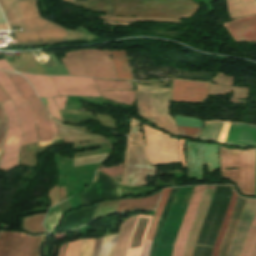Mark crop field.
Returning <instances> with one entry per match:
<instances>
[{"mask_svg":"<svg viewBox=\"0 0 256 256\" xmlns=\"http://www.w3.org/2000/svg\"><path fill=\"white\" fill-rule=\"evenodd\" d=\"M4 100H10L8 98V96L4 93L3 89L0 88V101H4Z\"/></svg>","mask_w":256,"mask_h":256,"instance_id":"54","label":"crop field"},{"mask_svg":"<svg viewBox=\"0 0 256 256\" xmlns=\"http://www.w3.org/2000/svg\"><path fill=\"white\" fill-rule=\"evenodd\" d=\"M95 239L83 240L79 256H91Z\"/></svg>","mask_w":256,"mask_h":256,"instance_id":"41","label":"crop field"},{"mask_svg":"<svg viewBox=\"0 0 256 256\" xmlns=\"http://www.w3.org/2000/svg\"><path fill=\"white\" fill-rule=\"evenodd\" d=\"M183 145H184V140L180 139V144H179L180 163H181L183 168H186L185 159H184V152H183Z\"/></svg>","mask_w":256,"mask_h":256,"instance_id":"47","label":"crop field"},{"mask_svg":"<svg viewBox=\"0 0 256 256\" xmlns=\"http://www.w3.org/2000/svg\"><path fill=\"white\" fill-rule=\"evenodd\" d=\"M44 237L0 232V256H37Z\"/></svg>","mask_w":256,"mask_h":256,"instance_id":"11","label":"crop field"},{"mask_svg":"<svg viewBox=\"0 0 256 256\" xmlns=\"http://www.w3.org/2000/svg\"><path fill=\"white\" fill-rule=\"evenodd\" d=\"M45 213L23 217V230L33 233L47 232L42 226Z\"/></svg>","mask_w":256,"mask_h":256,"instance_id":"30","label":"crop field"},{"mask_svg":"<svg viewBox=\"0 0 256 256\" xmlns=\"http://www.w3.org/2000/svg\"><path fill=\"white\" fill-rule=\"evenodd\" d=\"M137 216L130 217L127 221H125L121 226V232L118 236L114 256H125L130 234L135 223Z\"/></svg>","mask_w":256,"mask_h":256,"instance_id":"27","label":"crop field"},{"mask_svg":"<svg viewBox=\"0 0 256 256\" xmlns=\"http://www.w3.org/2000/svg\"><path fill=\"white\" fill-rule=\"evenodd\" d=\"M225 143L256 146V126L233 122Z\"/></svg>","mask_w":256,"mask_h":256,"instance_id":"20","label":"crop field"},{"mask_svg":"<svg viewBox=\"0 0 256 256\" xmlns=\"http://www.w3.org/2000/svg\"><path fill=\"white\" fill-rule=\"evenodd\" d=\"M99 170H101L102 172H104L110 176L120 175V174H122L123 165L114 166V167H110V168H101Z\"/></svg>","mask_w":256,"mask_h":256,"instance_id":"46","label":"crop field"},{"mask_svg":"<svg viewBox=\"0 0 256 256\" xmlns=\"http://www.w3.org/2000/svg\"><path fill=\"white\" fill-rule=\"evenodd\" d=\"M216 186L217 185L206 187L191 233L189 235V238L186 244L184 256H192L193 254L196 239L198 237L199 231L201 229L202 223L204 221L205 215L207 213V210L210 205Z\"/></svg>","mask_w":256,"mask_h":256,"instance_id":"17","label":"crop field"},{"mask_svg":"<svg viewBox=\"0 0 256 256\" xmlns=\"http://www.w3.org/2000/svg\"><path fill=\"white\" fill-rule=\"evenodd\" d=\"M48 105H46L47 109L49 110L50 114L53 115L55 118L59 119L60 121L61 118L59 116V113L57 111L56 105L54 103L53 98H46Z\"/></svg>","mask_w":256,"mask_h":256,"instance_id":"44","label":"crop field"},{"mask_svg":"<svg viewBox=\"0 0 256 256\" xmlns=\"http://www.w3.org/2000/svg\"><path fill=\"white\" fill-rule=\"evenodd\" d=\"M175 121L177 125H184V126H196V127H201L202 126V121L194 118H188L184 116H178L174 115Z\"/></svg>","mask_w":256,"mask_h":256,"instance_id":"38","label":"crop field"},{"mask_svg":"<svg viewBox=\"0 0 256 256\" xmlns=\"http://www.w3.org/2000/svg\"><path fill=\"white\" fill-rule=\"evenodd\" d=\"M247 199L238 197L235 208L233 210L232 216L230 218L229 224L227 226L226 232L224 234L223 240L220 245L218 256H227L230 244L232 242L235 230L237 228L239 219L241 217L244 205Z\"/></svg>","mask_w":256,"mask_h":256,"instance_id":"21","label":"crop field"},{"mask_svg":"<svg viewBox=\"0 0 256 256\" xmlns=\"http://www.w3.org/2000/svg\"><path fill=\"white\" fill-rule=\"evenodd\" d=\"M107 155L108 154H102V155H95V156H89V157H83V158H75L74 166L83 165V164H89V163L102 162V160Z\"/></svg>","mask_w":256,"mask_h":256,"instance_id":"39","label":"crop field"},{"mask_svg":"<svg viewBox=\"0 0 256 256\" xmlns=\"http://www.w3.org/2000/svg\"><path fill=\"white\" fill-rule=\"evenodd\" d=\"M228 10L231 18L256 14L255 0H227Z\"/></svg>","mask_w":256,"mask_h":256,"instance_id":"24","label":"crop field"},{"mask_svg":"<svg viewBox=\"0 0 256 256\" xmlns=\"http://www.w3.org/2000/svg\"><path fill=\"white\" fill-rule=\"evenodd\" d=\"M227 31L256 25V15L244 17L223 23ZM237 42L256 41V26H251L230 32ZM234 39V40H235Z\"/></svg>","mask_w":256,"mask_h":256,"instance_id":"18","label":"crop field"},{"mask_svg":"<svg viewBox=\"0 0 256 256\" xmlns=\"http://www.w3.org/2000/svg\"><path fill=\"white\" fill-rule=\"evenodd\" d=\"M159 193L160 192L146 198H139V199L127 198L126 200H121L116 213L131 211L135 209L149 210V208H154L156 201L158 199Z\"/></svg>","mask_w":256,"mask_h":256,"instance_id":"23","label":"crop field"},{"mask_svg":"<svg viewBox=\"0 0 256 256\" xmlns=\"http://www.w3.org/2000/svg\"><path fill=\"white\" fill-rule=\"evenodd\" d=\"M149 174L156 175V168L149 166L139 123L131 118L129 145L122 184L147 185L145 178Z\"/></svg>","mask_w":256,"mask_h":256,"instance_id":"6","label":"crop field"},{"mask_svg":"<svg viewBox=\"0 0 256 256\" xmlns=\"http://www.w3.org/2000/svg\"><path fill=\"white\" fill-rule=\"evenodd\" d=\"M54 65L51 67L39 68L34 62L29 52L21 53V59L11 62L10 65L20 72H28L35 74H52V75H68L64 65H61L55 54L51 55Z\"/></svg>","mask_w":256,"mask_h":256,"instance_id":"16","label":"crop field"},{"mask_svg":"<svg viewBox=\"0 0 256 256\" xmlns=\"http://www.w3.org/2000/svg\"><path fill=\"white\" fill-rule=\"evenodd\" d=\"M1 22H6V21H5L4 17H3V14L1 12V10H0V23Z\"/></svg>","mask_w":256,"mask_h":256,"instance_id":"56","label":"crop field"},{"mask_svg":"<svg viewBox=\"0 0 256 256\" xmlns=\"http://www.w3.org/2000/svg\"><path fill=\"white\" fill-rule=\"evenodd\" d=\"M0 85L11 97L18 112L21 128L23 130L22 145L37 141V132L34 124V116L28 100H23L17 89L11 83L4 71L0 70Z\"/></svg>","mask_w":256,"mask_h":256,"instance_id":"10","label":"crop field"},{"mask_svg":"<svg viewBox=\"0 0 256 256\" xmlns=\"http://www.w3.org/2000/svg\"><path fill=\"white\" fill-rule=\"evenodd\" d=\"M66 97L54 98L59 109H63Z\"/></svg>","mask_w":256,"mask_h":256,"instance_id":"51","label":"crop field"},{"mask_svg":"<svg viewBox=\"0 0 256 256\" xmlns=\"http://www.w3.org/2000/svg\"><path fill=\"white\" fill-rule=\"evenodd\" d=\"M213 82L221 83L226 86H231L233 77L218 73L212 80Z\"/></svg>","mask_w":256,"mask_h":256,"instance_id":"43","label":"crop field"},{"mask_svg":"<svg viewBox=\"0 0 256 256\" xmlns=\"http://www.w3.org/2000/svg\"><path fill=\"white\" fill-rule=\"evenodd\" d=\"M22 76L26 77L29 82L34 87L37 95L40 98L49 97V96H58V93L50 80L49 76H35L29 74L19 73Z\"/></svg>","mask_w":256,"mask_h":256,"instance_id":"22","label":"crop field"},{"mask_svg":"<svg viewBox=\"0 0 256 256\" xmlns=\"http://www.w3.org/2000/svg\"><path fill=\"white\" fill-rule=\"evenodd\" d=\"M62 214L64 215L68 210H70V204L68 200L60 203Z\"/></svg>","mask_w":256,"mask_h":256,"instance_id":"50","label":"crop field"},{"mask_svg":"<svg viewBox=\"0 0 256 256\" xmlns=\"http://www.w3.org/2000/svg\"><path fill=\"white\" fill-rule=\"evenodd\" d=\"M65 245L61 247L59 256H63Z\"/></svg>","mask_w":256,"mask_h":256,"instance_id":"57","label":"crop field"},{"mask_svg":"<svg viewBox=\"0 0 256 256\" xmlns=\"http://www.w3.org/2000/svg\"><path fill=\"white\" fill-rule=\"evenodd\" d=\"M205 187L206 186H198L194 188L186 214L184 216L180 231L176 239L172 256H183L185 244L190 233Z\"/></svg>","mask_w":256,"mask_h":256,"instance_id":"13","label":"crop field"},{"mask_svg":"<svg viewBox=\"0 0 256 256\" xmlns=\"http://www.w3.org/2000/svg\"><path fill=\"white\" fill-rule=\"evenodd\" d=\"M81 241L69 243L68 246H67L65 256H78Z\"/></svg>","mask_w":256,"mask_h":256,"instance_id":"42","label":"crop field"},{"mask_svg":"<svg viewBox=\"0 0 256 256\" xmlns=\"http://www.w3.org/2000/svg\"><path fill=\"white\" fill-rule=\"evenodd\" d=\"M56 124L62 134V139L64 144L75 142V141H85V140H94L97 138H103V136H100V135L83 133V130H75L72 128L62 127L65 125H62L58 122H56ZM67 127H73V126H67ZM73 128H79V127H73ZM83 128L87 129L88 127H83Z\"/></svg>","mask_w":256,"mask_h":256,"instance_id":"26","label":"crop field"},{"mask_svg":"<svg viewBox=\"0 0 256 256\" xmlns=\"http://www.w3.org/2000/svg\"><path fill=\"white\" fill-rule=\"evenodd\" d=\"M75 6L109 15H129L180 20L190 17L200 6L190 0H90Z\"/></svg>","mask_w":256,"mask_h":256,"instance_id":"2","label":"crop field"},{"mask_svg":"<svg viewBox=\"0 0 256 256\" xmlns=\"http://www.w3.org/2000/svg\"><path fill=\"white\" fill-rule=\"evenodd\" d=\"M176 189H177V188H174V189L171 190V193H170V195H169V198H168L166 207H165V209H164L162 218H161V220H160V223H159V226H158V229H157V232H156L154 238H159V237H160V234H161V231H162V229H163V226H164V223H165L167 214H168V212H169V209H170V206H171L173 197H174V195H175Z\"/></svg>","mask_w":256,"mask_h":256,"instance_id":"37","label":"crop field"},{"mask_svg":"<svg viewBox=\"0 0 256 256\" xmlns=\"http://www.w3.org/2000/svg\"><path fill=\"white\" fill-rule=\"evenodd\" d=\"M230 121H226L225 124H224V127H223V130L221 132V135H220V138H219V142H225V138H226V134H227V131H228V128L230 126Z\"/></svg>","mask_w":256,"mask_h":256,"instance_id":"48","label":"crop field"},{"mask_svg":"<svg viewBox=\"0 0 256 256\" xmlns=\"http://www.w3.org/2000/svg\"><path fill=\"white\" fill-rule=\"evenodd\" d=\"M53 207V206H52ZM61 218V213L59 209V205L57 204L53 208H51L46 216L44 221V227L48 230V232L53 231L58 221Z\"/></svg>","mask_w":256,"mask_h":256,"instance_id":"35","label":"crop field"},{"mask_svg":"<svg viewBox=\"0 0 256 256\" xmlns=\"http://www.w3.org/2000/svg\"><path fill=\"white\" fill-rule=\"evenodd\" d=\"M220 167L221 176L235 182L240 193L255 196L256 150H226L220 147Z\"/></svg>","mask_w":256,"mask_h":256,"instance_id":"3","label":"crop field"},{"mask_svg":"<svg viewBox=\"0 0 256 256\" xmlns=\"http://www.w3.org/2000/svg\"><path fill=\"white\" fill-rule=\"evenodd\" d=\"M62 62L70 75L117 79L109 51L80 50L68 52Z\"/></svg>","mask_w":256,"mask_h":256,"instance_id":"5","label":"crop field"},{"mask_svg":"<svg viewBox=\"0 0 256 256\" xmlns=\"http://www.w3.org/2000/svg\"><path fill=\"white\" fill-rule=\"evenodd\" d=\"M3 29H8L6 23L0 24V30H3Z\"/></svg>","mask_w":256,"mask_h":256,"instance_id":"55","label":"crop field"},{"mask_svg":"<svg viewBox=\"0 0 256 256\" xmlns=\"http://www.w3.org/2000/svg\"><path fill=\"white\" fill-rule=\"evenodd\" d=\"M237 197H238V196L235 194V191H234V194H233L232 199H231V202H230V204H229L227 213H226L225 218H224V221H223V223H222L220 232H219L218 237H217V240H216V242H215L212 256H217L220 242H221V240H222L223 234H224V232H225L226 226H227V224H228V221H229V218H230V216H231V213H232V210H233V208H234V205H235V202H236V200H237Z\"/></svg>","mask_w":256,"mask_h":256,"instance_id":"34","label":"crop field"},{"mask_svg":"<svg viewBox=\"0 0 256 256\" xmlns=\"http://www.w3.org/2000/svg\"><path fill=\"white\" fill-rule=\"evenodd\" d=\"M181 136L197 139L201 128L178 126Z\"/></svg>","mask_w":256,"mask_h":256,"instance_id":"40","label":"crop field"},{"mask_svg":"<svg viewBox=\"0 0 256 256\" xmlns=\"http://www.w3.org/2000/svg\"><path fill=\"white\" fill-rule=\"evenodd\" d=\"M58 193H59V202L67 198L64 188L58 189Z\"/></svg>","mask_w":256,"mask_h":256,"instance_id":"53","label":"crop field"},{"mask_svg":"<svg viewBox=\"0 0 256 256\" xmlns=\"http://www.w3.org/2000/svg\"><path fill=\"white\" fill-rule=\"evenodd\" d=\"M5 73L18 89L23 98H29L30 100V104L32 106L36 120L39 145L60 139V133L55 125L54 120L48 115L42 102L37 98L29 83L17 74L9 72Z\"/></svg>","mask_w":256,"mask_h":256,"instance_id":"7","label":"crop field"},{"mask_svg":"<svg viewBox=\"0 0 256 256\" xmlns=\"http://www.w3.org/2000/svg\"><path fill=\"white\" fill-rule=\"evenodd\" d=\"M172 88L143 87L137 84V104L140 115L162 130L179 135L168 105Z\"/></svg>","mask_w":256,"mask_h":256,"instance_id":"4","label":"crop field"},{"mask_svg":"<svg viewBox=\"0 0 256 256\" xmlns=\"http://www.w3.org/2000/svg\"><path fill=\"white\" fill-rule=\"evenodd\" d=\"M64 2H69V3H72L71 0H63Z\"/></svg>","mask_w":256,"mask_h":256,"instance_id":"59","label":"crop field"},{"mask_svg":"<svg viewBox=\"0 0 256 256\" xmlns=\"http://www.w3.org/2000/svg\"><path fill=\"white\" fill-rule=\"evenodd\" d=\"M231 90H234V95L231 99V102L244 103L242 101H238V98H245L247 95L248 88H229V87L218 86V85L212 84L208 95H226Z\"/></svg>","mask_w":256,"mask_h":256,"instance_id":"29","label":"crop field"},{"mask_svg":"<svg viewBox=\"0 0 256 256\" xmlns=\"http://www.w3.org/2000/svg\"><path fill=\"white\" fill-rule=\"evenodd\" d=\"M252 256H256V245H255V248H254V250H253Z\"/></svg>","mask_w":256,"mask_h":256,"instance_id":"58","label":"crop field"},{"mask_svg":"<svg viewBox=\"0 0 256 256\" xmlns=\"http://www.w3.org/2000/svg\"><path fill=\"white\" fill-rule=\"evenodd\" d=\"M118 79L132 80L128 59L124 50L110 51Z\"/></svg>","mask_w":256,"mask_h":256,"instance_id":"28","label":"crop field"},{"mask_svg":"<svg viewBox=\"0 0 256 256\" xmlns=\"http://www.w3.org/2000/svg\"><path fill=\"white\" fill-rule=\"evenodd\" d=\"M153 216L138 215L126 256H141L144 240Z\"/></svg>","mask_w":256,"mask_h":256,"instance_id":"19","label":"crop field"},{"mask_svg":"<svg viewBox=\"0 0 256 256\" xmlns=\"http://www.w3.org/2000/svg\"><path fill=\"white\" fill-rule=\"evenodd\" d=\"M256 242V212L248 231L245 243L242 248L241 256H251L253 247Z\"/></svg>","mask_w":256,"mask_h":256,"instance_id":"32","label":"crop field"},{"mask_svg":"<svg viewBox=\"0 0 256 256\" xmlns=\"http://www.w3.org/2000/svg\"><path fill=\"white\" fill-rule=\"evenodd\" d=\"M117 235L105 237L103 240L100 256H113Z\"/></svg>","mask_w":256,"mask_h":256,"instance_id":"36","label":"crop field"},{"mask_svg":"<svg viewBox=\"0 0 256 256\" xmlns=\"http://www.w3.org/2000/svg\"><path fill=\"white\" fill-rule=\"evenodd\" d=\"M209 83L173 80L172 100L180 102H203L207 97Z\"/></svg>","mask_w":256,"mask_h":256,"instance_id":"14","label":"crop field"},{"mask_svg":"<svg viewBox=\"0 0 256 256\" xmlns=\"http://www.w3.org/2000/svg\"><path fill=\"white\" fill-rule=\"evenodd\" d=\"M170 190L171 189H164V191L162 193V196H161V199H160L157 211H156V213H155V215L153 217V221H152L151 227H150L149 232H148V234L146 236V240H145L142 256H149L151 245H152V241H153V237H154V233H155V230H156V227H157V224H158V220H159V217H160V215H161V213L163 211V208L165 206V203H166V200L168 198Z\"/></svg>","mask_w":256,"mask_h":256,"instance_id":"25","label":"crop field"},{"mask_svg":"<svg viewBox=\"0 0 256 256\" xmlns=\"http://www.w3.org/2000/svg\"><path fill=\"white\" fill-rule=\"evenodd\" d=\"M60 95L100 96L91 78L50 76Z\"/></svg>","mask_w":256,"mask_h":256,"instance_id":"12","label":"crop field"},{"mask_svg":"<svg viewBox=\"0 0 256 256\" xmlns=\"http://www.w3.org/2000/svg\"><path fill=\"white\" fill-rule=\"evenodd\" d=\"M102 239H103V238H101V239H96L92 256H99V252H100V248H101Z\"/></svg>","mask_w":256,"mask_h":256,"instance_id":"49","label":"crop field"},{"mask_svg":"<svg viewBox=\"0 0 256 256\" xmlns=\"http://www.w3.org/2000/svg\"><path fill=\"white\" fill-rule=\"evenodd\" d=\"M218 146L207 145L205 146L204 158L207 165L208 173L218 169Z\"/></svg>","mask_w":256,"mask_h":256,"instance_id":"33","label":"crop field"},{"mask_svg":"<svg viewBox=\"0 0 256 256\" xmlns=\"http://www.w3.org/2000/svg\"><path fill=\"white\" fill-rule=\"evenodd\" d=\"M1 104L8 119V131L0 161V170L8 172L10 169L19 166L18 153L22 141V130L12 101H5Z\"/></svg>","mask_w":256,"mask_h":256,"instance_id":"9","label":"crop field"},{"mask_svg":"<svg viewBox=\"0 0 256 256\" xmlns=\"http://www.w3.org/2000/svg\"><path fill=\"white\" fill-rule=\"evenodd\" d=\"M35 0H0V8L9 27L21 26L23 32L14 33L17 43L9 47L51 45L66 41L67 29L41 19L36 11Z\"/></svg>","mask_w":256,"mask_h":256,"instance_id":"1","label":"crop field"},{"mask_svg":"<svg viewBox=\"0 0 256 256\" xmlns=\"http://www.w3.org/2000/svg\"><path fill=\"white\" fill-rule=\"evenodd\" d=\"M142 126L150 164L159 165L166 163H179V141L144 124H142Z\"/></svg>","mask_w":256,"mask_h":256,"instance_id":"8","label":"crop field"},{"mask_svg":"<svg viewBox=\"0 0 256 256\" xmlns=\"http://www.w3.org/2000/svg\"><path fill=\"white\" fill-rule=\"evenodd\" d=\"M0 69L14 71V70L6 63V61H5L4 59H1V60H0Z\"/></svg>","mask_w":256,"mask_h":256,"instance_id":"52","label":"crop field"},{"mask_svg":"<svg viewBox=\"0 0 256 256\" xmlns=\"http://www.w3.org/2000/svg\"><path fill=\"white\" fill-rule=\"evenodd\" d=\"M5 129H6L5 117L0 106V152H1L3 138L5 135Z\"/></svg>","mask_w":256,"mask_h":256,"instance_id":"45","label":"crop field"},{"mask_svg":"<svg viewBox=\"0 0 256 256\" xmlns=\"http://www.w3.org/2000/svg\"><path fill=\"white\" fill-rule=\"evenodd\" d=\"M223 123L224 122L219 121V120L206 121L205 125H204L203 132H202L201 139L217 141L219 134L221 132Z\"/></svg>","mask_w":256,"mask_h":256,"instance_id":"31","label":"crop field"},{"mask_svg":"<svg viewBox=\"0 0 256 256\" xmlns=\"http://www.w3.org/2000/svg\"><path fill=\"white\" fill-rule=\"evenodd\" d=\"M102 97L119 103L133 105L134 91H104L109 89H132L131 82L93 79Z\"/></svg>","mask_w":256,"mask_h":256,"instance_id":"15","label":"crop field"}]
</instances>
